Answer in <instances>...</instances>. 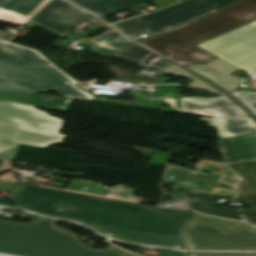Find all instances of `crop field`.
I'll list each match as a JSON object with an SVG mask.
<instances>
[{"label": "crop field", "instance_id": "412701ff", "mask_svg": "<svg viewBox=\"0 0 256 256\" xmlns=\"http://www.w3.org/2000/svg\"><path fill=\"white\" fill-rule=\"evenodd\" d=\"M58 222L45 217L30 223L0 220V251L27 256H135L113 246L96 250L56 226Z\"/></svg>", "mask_w": 256, "mask_h": 256}, {"label": "crop field", "instance_id": "4177f3b9", "mask_svg": "<svg viewBox=\"0 0 256 256\" xmlns=\"http://www.w3.org/2000/svg\"><path fill=\"white\" fill-rule=\"evenodd\" d=\"M207 65H212V66H214V67H216V68H218V69H220V70H222L224 72H227L229 74H233V72L235 70L236 71L240 70L236 66H234V65H232V64H230V63H228V62H226V61H224V60H222L220 58L215 60V61H213V62H211V63H209V64H207Z\"/></svg>", "mask_w": 256, "mask_h": 256}, {"label": "crop field", "instance_id": "3316defc", "mask_svg": "<svg viewBox=\"0 0 256 256\" xmlns=\"http://www.w3.org/2000/svg\"><path fill=\"white\" fill-rule=\"evenodd\" d=\"M227 166L239 179L234 201L250 204L253 212L243 214V217L248 223L256 225V159Z\"/></svg>", "mask_w": 256, "mask_h": 256}, {"label": "crop field", "instance_id": "dd49c442", "mask_svg": "<svg viewBox=\"0 0 256 256\" xmlns=\"http://www.w3.org/2000/svg\"><path fill=\"white\" fill-rule=\"evenodd\" d=\"M236 1L239 0H186L169 8L111 26L126 37L145 31L156 36Z\"/></svg>", "mask_w": 256, "mask_h": 256}, {"label": "crop field", "instance_id": "733c2abd", "mask_svg": "<svg viewBox=\"0 0 256 256\" xmlns=\"http://www.w3.org/2000/svg\"><path fill=\"white\" fill-rule=\"evenodd\" d=\"M189 69L212 80L215 84L229 92L236 90L247 81L243 82L241 81L242 79L233 78L210 67H189Z\"/></svg>", "mask_w": 256, "mask_h": 256}, {"label": "crop field", "instance_id": "92a150f3", "mask_svg": "<svg viewBox=\"0 0 256 256\" xmlns=\"http://www.w3.org/2000/svg\"><path fill=\"white\" fill-rule=\"evenodd\" d=\"M161 72H165V73H169V74H173V75H177L183 78H187V79H191L193 80L189 86H193V87H197V88H201L204 90H208V91H212V92H216L219 94V91H217L216 89H214L213 87L209 86L207 83H205L204 81H202L201 79L197 78L196 76L188 73L187 71L175 66V65H170L167 68H165L164 70H162Z\"/></svg>", "mask_w": 256, "mask_h": 256}, {"label": "crop field", "instance_id": "34b2d1b8", "mask_svg": "<svg viewBox=\"0 0 256 256\" xmlns=\"http://www.w3.org/2000/svg\"><path fill=\"white\" fill-rule=\"evenodd\" d=\"M0 89L35 93L56 89L64 96L92 101L90 92L35 49L0 40Z\"/></svg>", "mask_w": 256, "mask_h": 256}, {"label": "crop field", "instance_id": "d3111659", "mask_svg": "<svg viewBox=\"0 0 256 256\" xmlns=\"http://www.w3.org/2000/svg\"><path fill=\"white\" fill-rule=\"evenodd\" d=\"M177 1H180V0H177Z\"/></svg>", "mask_w": 256, "mask_h": 256}, {"label": "crop field", "instance_id": "eef30255", "mask_svg": "<svg viewBox=\"0 0 256 256\" xmlns=\"http://www.w3.org/2000/svg\"><path fill=\"white\" fill-rule=\"evenodd\" d=\"M13 38H15V36H12V35L0 32V39H2V40H6V41H10L11 42V40Z\"/></svg>", "mask_w": 256, "mask_h": 256}, {"label": "crop field", "instance_id": "22f410ed", "mask_svg": "<svg viewBox=\"0 0 256 256\" xmlns=\"http://www.w3.org/2000/svg\"><path fill=\"white\" fill-rule=\"evenodd\" d=\"M218 145L225 149V164L256 158V133L219 139Z\"/></svg>", "mask_w": 256, "mask_h": 256}, {"label": "crop field", "instance_id": "cbeb9de0", "mask_svg": "<svg viewBox=\"0 0 256 256\" xmlns=\"http://www.w3.org/2000/svg\"><path fill=\"white\" fill-rule=\"evenodd\" d=\"M0 100L67 112L73 99L0 90Z\"/></svg>", "mask_w": 256, "mask_h": 256}, {"label": "crop field", "instance_id": "d1516ede", "mask_svg": "<svg viewBox=\"0 0 256 256\" xmlns=\"http://www.w3.org/2000/svg\"><path fill=\"white\" fill-rule=\"evenodd\" d=\"M182 111L186 113L199 110L215 112L222 118H239L248 116L227 97L217 98H181Z\"/></svg>", "mask_w": 256, "mask_h": 256}, {"label": "crop field", "instance_id": "8a807250", "mask_svg": "<svg viewBox=\"0 0 256 256\" xmlns=\"http://www.w3.org/2000/svg\"><path fill=\"white\" fill-rule=\"evenodd\" d=\"M12 203L40 214L76 221L117 239L179 249H186L180 232L189 221L219 225L228 231L252 227L242 222L28 184H24Z\"/></svg>", "mask_w": 256, "mask_h": 256}, {"label": "crop field", "instance_id": "730fd06b", "mask_svg": "<svg viewBox=\"0 0 256 256\" xmlns=\"http://www.w3.org/2000/svg\"><path fill=\"white\" fill-rule=\"evenodd\" d=\"M189 256H256V254H195L188 253Z\"/></svg>", "mask_w": 256, "mask_h": 256}, {"label": "crop field", "instance_id": "d8731c3e", "mask_svg": "<svg viewBox=\"0 0 256 256\" xmlns=\"http://www.w3.org/2000/svg\"><path fill=\"white\" fill-rule=\"evenodd\" d=\"M198 46L256 75V21Z\"/></svg>", "mask_w": 256, "mask_h": 256}, {"label": "crop field", "instance_id": "5142ce71", "mask_svg": "<svg viewBox=\"0 0 256 256\" xmlns=\"http://www.w3.org/2000/svg\"><path fill=\"white\" fill-rule=\"evenodd\" d=\"M200 121L208 122L210 127H216L220 138L256 132V123L250 117L239 119L201 118Z\"/></svg>", "mask_w": 256, "mask_h": 256}, {"label": "crop field", "instance_id": "a9b5d70f", "mask_svg": "<svg viewBox=\"0 0 256 256\" xmlns=\"http://www.w3.org/2000/svg\"><path fill=\"white\" fill-rule=\"evenodd\" d=\"M27 17L20 16L0 9V20L21 25Z\"/></svg>", "mask_w": 256, "mask_h": 256}, {"label": "crop field", "instance_id": "ae1a2a85", "mask_svg": "<svg viewBox=\"0 0 256 256\" xmlns=\"http://www.w3.org/2000/svg\"><path fill=\"white\" fill-rule=\"evenodd\" d=\"M221 150V153H222V158H225V154H224V150L219 148Z\"/></svg>", "mask_w": 256, "mask_h": 256}, {"label": "crop field", "instance_id": "28ad6ade", "mask_svg": "<svg viewBox=\"0 0 256 256\" xmlns=\"http://www.w3.org/2000/svg\"><path fill=\"white\" fill-rule=\"evenodd\" d=\"M179 193L185 196L189 207L193 210L204 214L230 218L238 221H243V218L226 208L225 203L219 202L220 198L231 199L229 196L207 194L198 191L183 190L175 188Z\"/></svg>", "mask_w": 256, "mask_h": 256}, {"label": "crop field", "instance_id": "e52e79f7", "mask_svg": "<svg viewBox=\"0 0 256 256\" xmlns=\"http://www.w3.org/2000/svg\"><path fill=\"white\" fill-rule=\"evenodd\" d=\"M181 234L187 249L256 250L255 228L228 232L219 226L189 222Z\"/></svg>", "mask_w": 256, "mask_h": 256}, {"label": "crop field", "instance_id": "ac0d7876", "mask_svg": "<svg viewBox=\"0 0 256 256\" xmlns=\"http://www.w3.org/2000/svg\"><path fill=\"white\" fill-rule=\"evenodd\" d=\"M253 20L256 2L241 0L142 44L182 65L207 63L217 57L195 45Z\"/></svg>", "mask_w": 256, "mask_h": 256}, {"label": "crop field", "instance_id": "5a996713", "mask_svg": "<svg viewBox=\"0 0 256 256\" xmlns=\"http://www.w3.org/2000/svg\"><path fill=\"white\" fill-rule=\"evenodd\" d=\"M91 19L95 17L64 0H52L30 21L62 36L78 23Z\"/></svg>", "mask_w": 256, "mask_h": 256}, {"label": "crop field", "instance_id": "00972430", "mask_svg": "<svg viewBox=\"0 0 256 256\" xmlns=\"http://www.w3.org/2000/svg\"><path fill=\"white\" fill-rule=\"evenodd\" d=\"M17 146L11 143L0 142V159L14 160Z\"/></svg>", "mask_w": 256, "mask_h": 256}, {"label": "crop field", "instance_id": "f4fd0767", "mask_svg": "<svg viewBox=\"0 0 256 256\" xmlns=\"http://www.w3.org/2000/svg\"><path fill=\"white\" fill-rule=\"evenodd\" d=\"M62 119L35 107L0 101V141L38 147L60 143Z\"/></svg>", "mask_w": 256, "mask_h": 256}, {"label": "crop field", "instance_id": "d9b57169", "mask_svg": "<svg viewBox=\"0 0 256 256\" xmlns=\"http://www.w3.org/2000/svg\"><path fill=\"white\" fill-rule=\"evenodd\" d=\"M102 17L150 0H69Z\"/></svg>", "mask_w": 256, "mask_h": 256}, {"label": "crop field", "instance_id": "bc2a9ffb", "mask_svg": "<svg viewBox=\"0 0 256 256\" xmlns=\"http://www.w3.org/2000/svg\"><path fill=\"white\" fill-rule=\"evenodd\" d=\"M105 39H106L105 41H102L98 38H95V39L88 40V42L90 43L93 51L98 52L103 55H109V56L114 55L115 53L119 52L126 46L133 43L125 38H123L117 42L108 37Z\"/></svg>", "mask_w": 256, "mask_h": 256}, {"label": "crop field", "instance_id": "214f88e0", "mask_svg": "<svg viewBox=\"0 0 256 256\" xmlns=\"http://www.w3.org/2000/svg\"><path fill=\"white\" fill-rule=\"evenodd\" d=\"M154 54L155 53L133 43L112 57L123 58L132 64L138 65Z\"/></svg>", "mask_w": 256, "mask_h": 256}, {"label": "crop field", "instance_id": "4a817a6b", "mask_svg": "<svg viewBox=\"0 0 256 256\" xmlns=\"http://www.w3.org/2000/svg\"><path fill=\"white\" fill-rule=\"evenodd\" d=\"M47 0H0V8L29 17Z\"/></svg>", "mask_w": 256, "mask_h": 256}, {"label": "crop field", "instance_id": "dafd665d", "mask_svg": "<svg viewBox=\"0 0 256 256\" xmlns=\"http://www.w3.org/2000/svg\"><path fill=\"white\" fill-rule=\"evenodd\" d=\"M233 96L256 115V93H235Z\"/></svg>", "mask_w": 256, "mask_h": 256}]
</instances>
